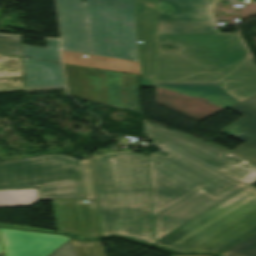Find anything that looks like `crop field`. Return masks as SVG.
<instances>
[{
  "label": "crop field",
  "mask_w": 256,
  "mask_h": 256,
  "mask_svg": "<svg viewBox=\"0 0 256 256\" xmlns=\"http://www.w3.org/2000/svg\"><path fill=\"white\" fill-rule=\"evenodd\" d=\"M64 63L111 69L140 75L139 63L98 56L81 58L78 54L62 52Z\"/></svg>",
  "instance_id": "crop-field-16"
},
{
  "label": "crop field",
  "mask_w": 256,
  "mask_h": 256,
  "mask_svg": "<svg viewBox=\"0 0 256 256\" xmlns=\"http://www.w3.org/2000/svg\"><path fill=\"white\" fill-rule=\"evenodd\" d=\"M37 188L39 199L83 198L79 164L64 156L0 164V189Z\"/></svg>",
  "instance_id": "crop-field-6"
},
{
  "label": "crop field",
  "mask_w": 256,
  "mask_h": 256,
  "mask_svg": "<svg viewBox=\"0 0 256 256\" xmlns=\"http://www.w3.org/2000/svg\"><path fill=\"white\" fill-rule=\"evenodd\" d=\"M23 56L60 61L59 40L47 39V48L22 45Z\"/></svg>",
  "instance_id": "crop-field-20"
},
{
  "label": "crop field",
  "mask_w": 256,
  "mask_h": 256,
  "mask_svg": "<svg viewBox=\"0 0 256 256\" xmlns=\"http://www.w3.org/2000/svg\"><path fill=\"white\" fill-rule=\"evenodd\" d=\"M126 109L141 113L137 76L122 73Z\"/></svg>",
  "instance_id": "crop-field-21"
},
{
  "label": "crop field",
  "mask_w": 256,
  "mask_h": 256,
  "mask_svg": "<svg viewBox=\"0 0 256 256\" xmlns=\"http://www.w3.org/2000/svg\"><path fill=\"white\" fill-rule=\"evenodd\" d=\"M220 256H256V234Z\"/></svg>",
  "instance_id": "crop-field-23"
},
{
  "label": "crop field",
  "mask_w": 256,
  "mask_h": 256,
  "mask_svg": "<svg viewBox=\"0 0 256 256\" xmlns=\"http://www.w3.org/2000/svg\"><path fill=\"white\" fill-rule=\"evenodd\" d=\"M93 164L101 235L154 245L147 157L116 153Z\"/></svg>",
  "instance_id": "crop-field-2"
},
{
  "label": "crop field",
  "mask_w": 256,
  "mask_h": 256,
  "mask_svg": "<svg viewBox=\"0 0 256 256\" xmlns=\"http://www.w3.org/2000/svg\"><path fill=\"white\" fill-rule=\"evenodd\" d=\"M50 256H75L71 242H67L65 245H63L57 251L52 253Z\"/></svg>",
  "instance_id": "crop-field-27"
},
{
  "label": "crop field",
  "mask_w": 256,
  "mask_h": 256,
  "mask_svg": "<svg viewBox=\"0 0 256 256\" xmlns=\"http://www.w3.org/2000/svg\"><path fill=\"white\" fill-rule=\"evenodd\" d=\"M232 153L247 158L252 161H256V147L251 146L247 143L239 146L237 149L232 151Z\"/></svg>",
  "instance_id": "crop-field-26"
},
{
  "label": "crop field",
  "mask_w": 256,
  "mask_h": 256,
  "mask_svg": "<svg viewBox=\"0 0 256 256\" xmlns=\"http://www.w3.org/2000/svg\"><path fill=\"white\" fill-rule=\"evenodd\" d=\"M86 15V13H85ZM86 20H87V15H86ZM87 25H88V21H87ZM88 31H89V26H88ZM89 37H90V32H89ZM90 43H91V37H90ZM91 48H92V43H91ZM92 54H93V50H92Z\"/></svg>",
  "instance_id": "crop-field-31"
},
{
  "label": "crop field",
  "mask_w": 256,
  "mask_h": 256,
  "mask_svg": "<svg viewBox=\"0 0 256 256\" xmlns=\"http://www.w3.org/2000/svg\"><path fill=\"white\" fill-rule=\"evenodd\" d=\"M246 185L237 184L218 196L200 190L153 217L155 241L178 226L217 205Z\"/></svg>",
  "instance_id": "crop-field-9"
},
{
  "label": "crop field",
  "mask_w": 256,
  "mask_h": 256,
  "mask_svg": "<svg viewBox=\"0 0 256 256\" xmlns=\"http://www.w3.org/2000/svg\"><path fill=\"white\" fill-rule=\"evenodd\" d=\"M231 109L246 116L223 132L256 146V95L231 107Z\"/></svg>",
  "instance_id": "crop-field-15"
},
{
  "label": "crop field",
  "mask_w": 256,
  "mask_h": 256,
  "mask_svg": "<svg viewBox=\"0 0 256 256\" xmlns=\"http://www.w3.org/2000/svg\"><path fill=\"white\" fill-rule=\"evenodd\" d=\"M70 94L125 109L121 73L64 65Z\"/></svg>",
  "instance_id": "crop-field-8"
},
{
  "label": "crop field",
  "mask_w": 256,
  "mask_h": 256,
  "mask_svg": "<svg viewBox=\"0 0 256 256\" xmlns=\"http://www.w3.org/2000/svg\"><path fill=\"white\" fill-rule=\"evenodd\" d=\"M76 256H100L95 242H78L71 240Z\"/></svg>",
  "instance_id": "crop-field-25"
},
{
  "label": "crop field",
  "mask_w": 256,
  "mask_h": 256,
  "mask_svg": "<svg viewBox=\"0 0 256 256\" xmlns=\"http://www.w3.org/2000/svg\"><path fill=\"white\" fill-rule=\"evenodd\" d=\"M148 139L152 143H170L204 162L220 169L236 161L224 157L228 152L188 137L178 131H171L144 120Z\"/></svg>",
  "instance_id": "crop-field-11"
},
{
  "label": "crop field",
  "mask_w": 256,
  "mask_h": 256,
  "mask_svg": "<svg viewBox=\"0 0 256 256\" xmlns=\"http://www.w3.org/2000/svg\"><path fill=\"white\" fill-rule=\"evenodd\" d=\"M218 0H157V82H216L238 102L256 94V66L239 34H220L211 11ZM176 48L163 51L159 45Z\"/></svg>",
  "instance_id": "crop-field-1"
},
{
  "label": "crop field",
  "mask_w": 256,
  "mask_h": 256,
  "mask_svg": "<svg viewBox=\"0 0 256 256\" xmlns=\"http://www.w3.org/2000/svg\"><path fill=\"white\" fill-rule=\"evenodd\" d=\"M226 157L238 162L220 169L221 171L248 185L256 181V162L249 161L232 153H229Z\"/></svg>",
  "instance_id": "crop-field-18"
},
{
  "label": "crop field",
  "mask_w": 256,
  "mask_h": 256,
  "mask_svg": "<svg viewBox=\"0 0 256 256\" xmlns=\"http://www.w3.org/2000/svg\"><path fill=\"white\" fill-rule=\"evenodd\" d=\"M0 53L22 56L20 36L0 35Z\"/></svg>",
  "instance_id": "crop-field-24"
},
{
  "label": "crop field",
  "mask_w": 256,
  "mask_h": 256,
  "mask_svg": "<svg viewBox=\"0 0 256 256\" xmlns=\"http://www.w3.org/2000/svg\"><path fill=\"white\" fill-rule=\"evenodd\" d=\"M255 231L256 190L247 186L155 245L179 253L219 254Z\"/></svg>",
  "instance_id": "crop-field-4"
},
{
  "label": "crop field",
  "mask_w": 256,
  "mask_h": 256,
  "mask_svg": "<svg viewBox=\"0 0 256 256\" xmlns=\"http://www.w3.org/2000/svg\"><path fill=\"white\" fill-rule=\"evenodd\" d=\"M6 256H48L68 240V237L30 231L1 229Z\"/></svg>",
  "instance_id": "crop-field-12"
},
{
  "label": "crop field",
  "mask_w": 256,
  "mask_h": 256,
  "mask_svg": "<svg viewBox=\"0 0 256 256\" xmlns=\"http://www.w3.org/2000/svg\"><path fill=\"white\" fill-rule=\"evenodd\" d=\"M36 202V189L0 190V207L32 206Z\"/></svg>",
  "instance_id": "crop-field-19"
},
{
  "label": "crop field",
  "mask_w": 256,
  "mask_h": 256,
  "mask_svg": "<svg viewBox=\"0 0 256 256\" xmlns=\"http://www.w3.org/2000/svg\"><path fill=\"white\" fill-rule=\"evenodd\" d=\"M10 89H26L22 58L0 54V90Z\"/></svg>",
  "instance_id": "crop-field-17"
},
{
  "label": "crop field",
  "mask_w": 256,
  "mask_h": 256,
  "mask_svg": "<svg viewBox=\"0 0 256 256\" xmlns=\"http://www.w3.org/2000/svg\"><path fill=\"white\" fill-rule=\"evenodd\" d=\"M210 144H212V145H214V146H216V147H219V148H221V149H224V150H226V151H229V152H231L230 150H228V149H225V148H223V147H220V146H218V145H216V144H214V143H212V142H210Z\"/></svg>",
  "instance_id": "crop-field-30"
},
{
  "label": "crop field",
  "mask_w": 256,
  "mask_h": 256,
  "mask_svg": "<svg viewBox=\"0 0 256 256\" xmlns=\"http://www.w3.org/2000/svg\"><path fill=\"white\" fill-rule=\"evenodd\" d=\"M156 102L196 121L238 103L215 83H157Z\"/></svg>",
  "instance_id": "crop-field-7"
},
{
  "label": "crop field",
  "mask_w": 256,
  "mask_h": 256,
  "mask_svg": "<svg viewBox=\"0 0 256 256\" xmlns=\"http://www.w3.org/2000/svg\"><path fill=\"white\" fill-rule=\"evenodd\" d=\"M97 152H99V153H101V154H107V153H110V152H115V151H106V150H99V151H97Z\"/></svg>",
  "instance_id": "crop-field-29"
},
{
  "label": "crop field",
  "mask_w": 256,
  "mask_h": 256,
  "mask_svg": "<svg viewBox=\"0 0 256 256\" xmlns=\"http://www.w3.org/2000/svg\"><path fill=\"white\" fill-rule=\"evenodd\" d=\"M27 89L65 87L62 65L23 58Z\"/></svg>",
  "instance_id": "crop-field-14"
},
{
  "label": "crop field",
  "mask_w": 256,
  "mask_h": 256,
  "mask_svg": "<svg viewBox=\"0 0 256 256\" xmlns=\"http://www.w3.org/2000/svg\"><path fill=\"white\" fill-rule=\"evenodd\" d=\"M141 75L155 77L154 0H135Z\"/></svg>",
  "instance_id": "crop-field-13"
},
{
  "label": "crop field",
  "mask_w": 256,
  "mask_h": 256,
  "mask_svg": "<svg viewBox=\"0 0 256 256\" xmlns=\"http://www.w3.org/2000/svg\"><path fill=\"white\" fill-rule=\"evenodd\" d=\"M96 242V244H97V247H98V250H99V252H100V255L101 256H105L104 255V252H103V248H102V245H101V242L100 241H95ZM95 244V245H96Z\"/></svg>",
  "instance_id": "crop-field-28"
},
{
  "label": "crop field",
  "mask_w": 256,
  "mask_h": 256,
  "mask_svg": "<svg viewBox=\"0 0 256 256\" xmlns=\"http://www.w3.org/2000/svg\"><path fill=\"white\" fill-rule=\"evenodd\" d=\"M0 256H4L3 253H0Z\"/></svg>",
  "instance_id": "crop-field-32"
},
{
  "label": "crop field",
  "mask_w": 256,
  "mask_h": 256,
  "mask_svg": "<svg viewBox=\"0 0 256 256\" xmlns=\"http://www.w3.org/2000/svg\"><path fill=\"white\" fill-rule=\"evenodd\" d=\"M155 146L170 156H148L153 216L200 188L216 196L238 183L167 144Z\"/></svg>",
  "instance_id": "crop-field-5"
},
{
  "label": "crop field",
  "mask_w": 256,
  "mask_h": 256,
  "mask_svg": "<svg viewBox=\"0 0 256 256\" xmlns=\"http://www.w3.org/2000/svg\"><path fill=\"white\" fill-rule=\"evenodd\" d=\"M58 231L82 238L100 235L96 201H52Z\"/></svg>",
  "instance_id": "crop-field-10"
},
{
  "label": "crop field",
  "mask_w": 256,
  "mask_h": 256,
  "mask_svg": "<svg viewBox=\"0 0 256 256\" xmlns=\"http://www.w3.org/2000/svg\"><path fill=\"white\" fill-rule=\"evenodd\" d=\"M94 55L139 62L134 0H85ZM62 50L91 54L82 0H57Z\"/></svg>",
  "instance_id": "crop-field-3"
},
{
  "label": "crop field",
  "mask_w": 256,
  "mask_h": 256,
  "mask_svg": "<svg viewBox=\"0 0 256 256\" xmlns=\"http://www.w3.org/2000/svg\"><path fill=\"white\" fill-rule=\"evenodd\" d=\"M79 164L84 198L96 199L91 160L79 161Z\"/></svg>",
  "instance_id": "crop-field-22"
},
{
  "label": "crop field",
  "mask_w": 256,
  "mask_h": 256,
  "mask_svg": "<svg viewBox=\"0 0 256 256\" xmlns=\"http://www.w3.org/2000/svg\"><path fill=\"white\" fill-rule=\"evenodd\" d=\"M2 250H1V246H0V252H1Z\"/></svg>",
  "instance_id": "crop-field-33"
}]
</instances>
